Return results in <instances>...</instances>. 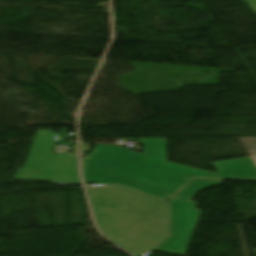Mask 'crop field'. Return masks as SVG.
<instances>
[{"label":"crop field","instance_id":"crop-field-1","mask_svg":"<svg viewBox=\"0 0 256 256\" xmlns=\"http://www.w3.org/2000/svg\"><path fill=\"white\" fill-rule=\"evenodd\" d=\"M144 154L119 146L96 145L88 158L82 160L85 183L119 184L142 193L169 199L170 236L154 250L184 255L199 210L190 201L193 194L220 184V180L196 179L174 197L192 177L256 180V166L250 160L215 162L214 174L165 162L164 138L140 139Z\"/></svg>","mask_w":256,"mask_h":256},{"label":"crop field","instance_id":"crop-field-3","mask_svg":"<svg viewBox=\"0 0 256 256\" xmlns=\"http://www.w3.org/2000/svg\"><path fill=\"white\" fill-rule=\"evenodd\" d=\"M252 157H253V159L255 160V162H256V155H252Z\"/></svg>","mask_w":256,"mask_h":256},{"label":"crop field","instance_id":"crop-field-2","mask_svg":"<svg viewBox=\"0 0 256 256\" xmlns=\"http://www.w3.org/2000/svg\"><path fill=\"white\" fill-rule=\"evenodd\" d=\"M57 136L50 131H38L33 140L29 158L14 179L81 184L78 177L77 158L51 153Z\"/></svg>","mask_w":256,"mask_h":256}]
</instances>
